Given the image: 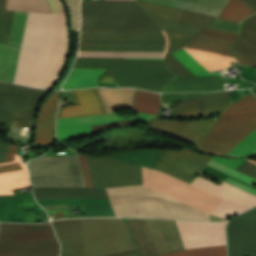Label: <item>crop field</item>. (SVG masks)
I'll use <instances>...</instances> for the list:
<instances>
[{
    "instance_id": "crop-field-1",
    "label": "crop field",
    "mask_w": 256,
    "mask_h": 256,
    "mask_svg": "<svg viewBox=\"0 0 256 256\" xmlns=\"http://www.w3.org/2000/svg\"><path fill=\"white\" fill-rule=\"evenodd\" d=\"M66 47L65 14L29 13L13 83L50 89L62 71Z\"/></svg>"
},
{
    "instance_id": "crop-field-2",
    "label": "crop field",
    "mask_w": 256,
    "mask_h": 256,
    "mask_svg": "<svg viewBox=\"0 0 256 256\" xmlns=\"http://www.w3.org/2000/svg\"><path fill=\"white\" fill-rule=\"evenodd\" d=\"M255 129L256 97L250 93L228 106L213 126L192 143L202 151L225 155ZM255 152L256 130L226 155L251 156Z\"/></svg>"
},
{
    "instance_id": "crop-field-3",
    "label": "crop field",
    "mask_w": 256,
    "mask_h": 256,
    "mask_svg": "<svg viewBox=\"0 0 256 256\" xmlns=\"http://www.w3.org/2000/svg\"><path fill=\"white\" fill-rule=\"evenodd\" d=\"M33 188L86 187L77 156H42L27 163ZM35 199L108 198L104 189H33Z\"/></svg>"
},
{
    "instance_id": "crop-field-4",
    "label": "crop field",
    "mask_w": 256,
    "mask_h": 256,
    "mask_svg": "<svg viewBox=\"0 0 256 256\" xmlns=\"http://www.w3.org/2000/svg\"><path fill=\"white\" fill-rule=\"evenodd\" d=\"M164 31L82 30L78 57L164 58Z\"/></svg>"
},
{
    "instance_id": "crop-field-5",
    "label": "crop field",
    "mask_w": 256,
    "mask_h": 256,
    "mask_svg": "<svg viewBox=\"0 0 256 256\" xmlns=\"http://www.w3.org/2000/svg\"><path fill=\"white\" fill-rule=\"evenodd\" d=\"M105 190L116 216L209 221L207 213L144 185Z\"/></svg>"
},
{
    "instance_id": "crop-field-6",
    "label": "crop field",
    "mask_w": 256,
    "mask_h": 256,
    "mask_svg": "<svg viewBox=\"0 0 256 256\" xmlns=\"http://www.w3.org/2000/svg\"><path fill=\"white\" fill-rule=\"evenodd\" d=\"M73 68L90 69H166L162 61H122L121 58H77ZM174 77L167 70H107L99 82H120V87H134L160 92Z\"/></svg>"
},
{
    "instance_id": "crop-field-7",
    "label": "crop field",
    "mask_w": 256,
    "mask_h": 256,
    "mask_svg": "<svg viewBox=\"0 0 256 256\" xmlns=\"http://www.w3.org/2000/svg\"><path fill=\"white\" fill-rule=\"evenodd\" d=\"M232 43V41L197 35L192 42L183 49L187 51L193 58H195L201 65H203L208 71H211L229 67L231 66L229 62L237 63L229 48ZM183 49L171 54L195 76L212 75ZM171 54H167L165 56V64L169 71L173 72L177 76H194Z\"/></svg>"
},
{
    "instance_id": "crop-field-8",
    "label": "crop field",
    "mask_w": 256,
    "mask_h": 256,
    "mask_svg": "<svg viewBox=\"0 0 256 256\" xmlns=\"http://www.w3.org/2000/svg\"><path fill=\"white\" fill-rule=\"evenodd\" d=\"M81 29L163 30L135 1H82Z\"/></svg>"
},
{
    "instance_id": "crop-field-9",
    "label": "crop field",
    "mask_w": 256,
    "mask_h": 256,
    "mask_svg": "<svg viewBox=\"0 0 256 256\" xmlns=\"http://www.w3.org/2000/svg\"><path fill=\"white\" fill-rule=\"evenodd\" d=\"M77 105L61 107L57 123L106 113L96 88L72 91ZM126 120L115 114H106L57 124V140L73 139L91 133L90 126Z\"/></svg>"
},
{
    "instance_id": "crop-field-10",
    "label": "crop field",
    "mask_w": 256,
    "mask_h": 256,
    "mask_svg": "<svg viewBox=\"0 0 256 256\" xmlns=\"http://www.w3.org/2000/svg\"><path fill=\"white\" fill-rule=\"evenodd\" d=\"M207 166L237 178L250 185L256 183V180L212 160L209 161ZM192 184L245 208L256 205V190L229 177H227L220 186L199 177H196ZM224 199H222L220 203L213 209L211 214L224 218L234 212L240 214L241 212L245 211V209Z\"/></svg>"
},
{
    "instance_id": "crop-field-11",
    "label": "crop field",
    "mask_w": 256,
    "mask_h": 256,
    "mask_svg": "<svg viewBox=\"0 0 256 256\" xmlns=\"http://www.w3.org/2000/svg\"><path fill=\"white\" fill-rule=\"evenodd\" d=\"M86 256H100L135 247L121 218L81 219Z\"/></svg>"
},
{
    "instance_id": "crop-field-12",
    "label": "crop field",
    "mask_w": 256,
    "mask_h": 256,
    "mask_svg": "<svg viewBox=\"0 0 256 256\" xmlns=\"http://www.w3.org/2000/svg\"><path fill=\"white\" fill-rule=\"evenodd\" d=\"M227 222V221H226ZM222 223L176 221L185 249L225 245ZM160 256H227L226 247L182 250Z\"/></svg>"
},
{
    "instance_id": "crop-field-13",
    "label": "crop field",
    "mask_w": 256,
    "mask_h": 256,
    "mask_svg": "<svg viewBox=\"0 0 256 256\" xmlns=\"http://www.w3.org/2000/svg\"><path fill=\"white\" fill-rule=\"evenodd\" d=\"M143 184L210 213L221 198L165 173L142 168Z\"/></svg>"
},
{
    "instance_id": "crop-field-14",
    "label": "crop field",
    "mask_w": 256,
    "mask_h": 256,
    "mask_svg": "<svg viewBox=\"0 0 256 256\" xmlns=\"http://www.w3.org/2000/svg\"><path fill=\"white\" fill-rule=\"evenodd\" d=\"M87 158L94 187L142 184L141 168L106 157Z\"/></svg>"
},
{
    "instance_id": "crop-field-15",
    "label": "crop field",
    "mask_w": 256,
    "mask_h": 256,
    "mask_svg": "<svg viewBox=\"0 0 256 256\" xmlns=\"http://www.w3.org/2000/svg\"><path fill=\"white\" fill-rule=\"evenodd\" d=\"M137 1V0H136ZM163 28L196 36L215 18L160 5L137 1Z\"/></svg>"
},
{
    "instance_id": "crop-field-16",
    "label": "crop field",
    "mask_w": 256,
    "mask_h": 256,
    "mask_svg": "<svg viewBox=\"0 0 256 256\" xmlns=\"http://www.w3.org/2000/svg\"><path fill=\"white\" fill-rule=\"evenodd\" d=\"M212 157L197 154L184 147L179 151H164L152 168L191 184Z\"/></svg>"
},
{
    "instance_id": "crop-field-17",
    "label": "crop field",
    "mask_w": 256,
    "mask_h": 256,
    "mask_svg": "<svg viewBox=\"0 0 256 256\" xmlns=\"http://www.w3.org/2000/svg\"><path fill=\"white\" fill-rule=\"evenodd\" d=\"M226 231L229 256H256V207L232 219Z\"/></svg>"
},
{
    "instance_id": "crop-field-18",
    "label": "crop field",
    "mask_w": 256,
    "mask_h": 256,
    "mask_svg": "<svg viewBox=\"0 0 256 256\" xmlns=\"http://www.w3.org/2000/svg\"><path fill=\"white\" fill-rule=\"evenodd\" d=\"M48 92L0 83V122L11 127V109L38 105Z\"/></svg>"
},
{
    "instance_id": "crop-field-19",
    "label": "crop field",
    "mask_w": 256,
    "mask_h": 256,
    "mask_svg": "<svg viewBox=\"0 0 256 256\" xmlns=\"http://www.w3.org/2000/svg\"><path fill=\"white\" fill-rule=\"evenodd\" d=\"M16 149L17 147L10 145L0 164V195L14 194L12 189L30 185L28 170Z\"/></svg>"
},
{
    "instance_id": "crop-field-20",
    "label": "crop field",
    "mask_w": 256,
    "mask_h": 256,
    "mask_svg": "<svg viewBox=\"0 0 256 256\" xmlns=\"http://www.w3.org/2000/svg\"><path fill=\"white\" fill-rule=\"evenodd\" d=\"M60 91L53 93L45 100L36 116L34 143L51 144L55 140V112Z\"/></svg>"
},
{
    "instance_id": "crop-field-21",
    "label": "crop field",
    "mask_w": 256,
    "mask_h": 256,
    "mask_svg": "<svg viewBox=\"0 0 256 256\" xmlns=\"http://www.w3.org/2000/svg\"><path fill=\"white\" fill-rule=\"evenodd\" d=\"M146 221L158 255L183 249L173 221Z\"/></svg>"
},
{
    "instance_id": "crop-field-22",
    "label": "crop field",
    "mask_w": 256,
    "mask_h": 256,
    "mask_svg": "<svg viewBox=\"0 0 256 256\" xmlns=\"http://www.w3.org/2000/svg\"><path fill=\"white\" fill-rule=\"evenodd\" d=\"M238 62L256 66V15L247 19L231 47Z\"/></svg>"
},
{
    "instance_id": "crop-field-23",
    "label": "crop field",
    "mask_w": 256,
    "mask_h": 256,
    "mask_svg": "<svg viewBox=\"0 0 256 256\" xmlns=\"http://www.w3.org/2000/svg\"><path fill=\"white\" fill-rule=\"evenodd\" d=\"M53 223L63 244L62 256H85L80 220Z\"/></svg>"
},
{
    "instance_id": "crop-field-24",
    "label": "crop field",
    "mask_w": 256,
    "mask_h": 256,
    "mask_svg": "<svg viewBox=\"0 0 256 256\" xmlns=\"http://www.w3.org/2000/svg\"><path fill=\"white\" fill-rule=\"evenodd\" d=\"M0 0V42L8 43L15 12L5 11ZM28 13L16 12L9 44L20 46Z\"/></svg>"
},
{
    "instance_id": "crop-field-25",
    "label": "crop field",
    "mask_w": 256,
    "mask_h": 256,
    "mask_svg": "<svg viewBox=\"0 0 256 256\" xmlns=\"http://www.w3.org/2000/svg\"><path fill=\"white\" fill-rule=\"evenodd\" d=\"M222 77L174 78L162 92L220 91L225 90Z\"/></svg>"
},
{
    "instance_id": "crop-field-26",
    "label": "crop field",
    "mask_w": 256,
    "mask_h": 256,
    "mask_svg": "<svg viewBox=\"0 0 256 256\" xmlns=\"http://www.w3.org/2000/svg\"><path fill=\"white\" fill-rule=\"evenodd\" d=\"M40 207L33 199L32 192L22 195L0 196V221L9 222L23 219L22 210Z\"/></svg>"
},
{
    "instance_id": "crop-field-27",
    "label": "crop field",
    "mask_w": 256,
    "mask_h": 256,
    "mask_svg": "<svg viewBox=\"0 0 256 256\" xmlns=\"http://www.w3.org/2000/svg\"><path fill=\"white\" fill-rule=\"evenodd\" d=\"M217 17L227 1L223 0H141Z\"/></svg>"
},
{
    "instance_id": "crop-field-28",
    "label": "crop field",
    "mask_w": 256,
    "mask_h": 256,
    "mask_svg": "<svg viewBox=\"0 0 256 256\" xmlns=\"http://www.w3.org/2000/svg\"><path fill=\"white\" fill-rule=\"evenodd\" d=\"M107 113L119 109H130L134 89H105L97 88Z\"/></svg>"
},
{
    "instance_id": "crop-field-29",
    "label": "crop field",
    "mask_w": 256,
    "mask_h": 256,
    "mask_svg": "<svg viewBox=\"0 0 256 256\" xmlns=\"http://www.w3.org/2000/svg\"><path fill=\"white\" fill-rule=\"evenodd\" d=\"M134 238L139 256L157 255L145 220L126 219Z\"/></svg>"
},
{
    "instance_id": "crop-field-30",
    "label": "crop field",
    "mask_w": 256,
    "mask_h": 256,
    "mask_svg": "<svg viewBox=\"0 0 256 256\" xmlns=\"http://www.w3.org/2000/svg\"><path fill=\"white\" fill-rule=\"evenodd\" d=\"M20 47L0 43V80L12 83Z\"/></svg>"
},
{
    "instance_id": "crop-field-31",
    "label": "crop field",
    "mask_w": 256,
    "mask_h": 256,
    "mask_svg": "<svg viewBox=\"0 0 256 256\" xmlns=\"http://www.w3.org/2000/svg\"><path fill=\"white\" fill-rule=\"evenodd\" d=\"M106 70L72 69L63 89L89 88L98 86L97 76Z\"/></svg>"
},
{
    "instance_id": "crop-field-32",
    "label": "crop field",
    "mask_w": 256,
    "mask_h": 256,
    "mask_svg": "<svg viewBox=\"0 0 256 256\" xmlns=\"http://www.w3.org/2000/svg\"><path fill=\"white\" fill-rule=\"evenodd\" d=\"M255 14L254 10L239 0H229L216 19L242 23L245 18Z\"/></svg>"
},
{
    "instance_id": "crop-field-33",
    "label": "crop field",
    "mask_w": 256,
    "mask_h": 256,
    "mask_svg": "<svg viewBox=\"0 0 256 256\" xmlns=\"http://www.w3.org/2000/svg\"><path fill=\"white\" fill-rule=\"evenodd\" d=\"M0 242L59 244L54 234L0 232Z\"/></svg>"
},
{
    "instance_id": "crop-field-34",
    "label": "crop field",
    "mask_w": 256,
    "mask_h": 256,
    "mask_svg": "<svg viewBox=\"0 0 256 256\" xmlns=\"http://www.w3.org/2000/svg\"><path fill=\"white\" fill-rule=\"evenodd\" d=\"M162 152L158 150H140L111 155L110 157L151 168Z\"/></svg>"
},
{
    "instance_id": "crop-field-35",
    "label": "crop field",
    "mask_w": 256,
    "mask_h": 256,
    "mask_svg": "<svg viewBox=\"0 0 256 256\" xmlns=\"http://www.w3.org/2000/svg\"><path fill=\"white\" fill-rule=\"evenodd\" d=\"M161 106L160 97L156 93L136 91L133 110L157 114Z\"/></svg>"
},
{
    "instance_id": "crop-field-36",
    "label": "crop field",
    "mask_w": 256,
    "mask_h": 256,
    "mask_svg": "<svg viewBox=\"0 0 256 256\" xmlns=\"http://www.w3.org/2000/svg\"><path fill=\"white\" fill-rule=\"evenodd\" d=\"M204 112L202 115H214L220 114L221 111L229 105L231 100L225 94V92H217L210 95L203 96Z\"/></svg>"
},
{
    "instance_id": "crop-field-37",
    "label": "crop field",
    "mask_w": 256,
    "mask_h": 256,
    "mask_svg": "<svg viewBox=\"0 0 256 256\" xmlns=\"http://www.w3.org/2000/svg\"><path fill=\"white\" fill-rule=\"evenodd\" d=\"M181 103L174 104L173 110L175 117L195 118L203 112L201 97L180 100Z\"/></svg>"
},
{
    "instance_id": "crop-field-38",
    "label": "crop field",
    "mask_w": 256,
    "mask_h": 256,
    "mask_svg": "<svg viewBox=\"0 0 256 256\" xmlns=\"http://www.w3.org/2000/svg\"><path fill=\"white\" fill-rule=\"evenodd\" d=\"M156 118L157 117H155L154 119L146 123L147 124L146 127L152 130H156V131H160V132H164L172 135L189 122V121H183V120H166V119H156Z\"/></svg>"
},
{
    "instance_id": "crop-field-39",
    "label": "crop field",
    "mask_w": 256,
    "mask_h": 256,
    "mask_svg": "<svg viewBox=\"0 0 256 256\" xmlns=\"http://www.w3.org/2000/svg\"><path fill=\"white\" fill-rule=\"evenodd\" d=\"M0 250L59 253V245L0 243Z\"/></svg>"
},
{
    "instance_id": "crop-field-40",
    "label": "crop field",
    "mask_w": 256,
    "mask_h": 256,
    "mask_svg": "<svg viewBox=\"0 0 256 256\" xmlns=\"http://www.w3.org/2000/svg\"><path fill=\"white\" fill-rule=\"evenodd\" d=\"M214 119H205L189 122L185 127H183L175 135L183 137L188 140H192L204 131L213 123Z\"/></svg>"
},
{
    "instance_id": "crop-field-41",
    "label": "crop field",
    "mask_w": 256,
    "mask_h": 256,
    "mask_svg": "<svg viewBox=\"0 0 256 256\" xmlns=\"http://www.w3.org/2000/svg\"><path fill=\"white\" fill-rule=\"evenodd\" d=\"M0 231L54 233L49 222L38 225L0 223Z\"/></svg>"
},
{
    "instance_id": "crop-field-42",
    "label": "crop field",
    "mask_w": 256,
    "mask_h": 256,
    "mask_svg": "<svg viewBox=\"0 0 256 256\" xmlns=\"http://www.w3.org/2000/svg\"><path fill=\"white\" fill-rule=\"evenodd\" d=\"M37 106L12 111V124L16 127H33V115ZM18 113L17 115L15 113Z\"/></svg>"
},
{
    "instance_id": "crop-field-43",
    "label": "crop field",
    "mask_w": 256,
    "mask_h": 256,
    "mask_svg": "<svg viewBox=\"0 0 256 256\" xmlns=\"http://www.w3.org/2000/svg\"><path fill=\"white\" fill-rule=\"evenodd\" d=\"M169 39V47L167 53L178 50L184 46H186L194 37L184 34H179L175 32L166 31Z\"/></svg>"
},
{
    "instance_id": "crop-field-44",
    "label": "crop field",
    "mask_w": 256,
    "mask_h": 256,
    "mask_svg": "<svg viewBox=\"0 0 256 256\" xmlns=\"http://www.w3.org/2000/svg\"><path fill=\"white\" fill-rule=\"evenodd\" d=\"M40 205L55 204H110L108 199L37 200Z\"/></svg>"
},
{
    "instance_id": "crop-field-45",
    "label": "crop field",
    "mask_w": 256,
    "mask_h": 256,
    "mask_svg": "<svg viewBox=\"0 0 256 256\" xmlns=\"http://www.w3.org/2000/svg\"><path fill=\"white\" fill-rule=\"evenodd\" d=\"M86 216H115L110 205H85Z\"/></svg>"
},
{
    "instance_id": "crop-field-46",
    "label": "crop field",
    "mask_w": 256,
    "mask_h": 256,
    "mask_svg": "<svg viewBox=\"0 0 256 256\" xmlns=\"http://www.w3.org/2000/svg\"><path fill=\"white\" fill-rule=\"evenodd\" d=\"M47 213L52 212L53 218H69L71 217L69 205L42 206Z\"/></svg>"
},
{
    "instance_id": "crop-field-47",
    "label": "crop field",
    "mask_w": 256,
    "mask_h": 256,
    "mask_svg": "<svg viewBox=\"0 0 256 256\" xmlns=\"http://www.w3.org/2000/svg\"><path fill=\"white\" fill-rule=\"evenodd\" d=\"M240 25L238 23H231V22H225V21H218L214 20L208 28H213L217 30L227 31L231 33H239Z\"/></svg>"
},
{
    "instance_id": "crop-field-48",
    "label": "crop field",
    "mask_w": 256,
    "mask_h": 256,
    "mask_svg": "<svg viewBox=\"0 0 256 256\" xmlns=\"http://www.w3.org/2000/svg\"><path fill=\"white\" fill-rule=\"evenodd\" d=\"M200 35H205V36H211V37H216V38H221V39H227V40H232L235 41L237 35L236 34H231L227 32H222V31H217L213 29H208L206 28L203 30Z\"/></svg>"
},
{
    "instance_id": "crop-field-49",
    "label": "crop field",
    "mask_w": 256,
    "mask_h": 256,
    "mask_svg": "<svg viewBox=\"0 0 256 256\" xmlns=\"http://www.w3.org/2000/svg\"><path fill=\"white\" fill-rule=\"evenodd\" d=\"M208 93H193V94H160L162 98V102H170L178 99H183V98H189V97H197L200 95H204Z\"/></svg>"
},
{
    "instance_id": "crop-field-50",
    "label": "crop field",
    "mask_w": 256,
    "mask_h": 256,
    "mask_svg": "<svg viewBox=\"0 0 256 256\" xmlns=\"http://www.w3.org/2000/svg\"><path fill=\"white\" fill-rule=\"evenodd\" d=\"M236 170L256 179V164L246 160L239 167H237Z\"/></svg>"
},
{
    "instance_id": "crop-field-51",
    "label": "crop field",
    "mask_w": 256,
    "mask_h": 256,
    "mask_svg": "<svg viewBox=\"0 0 256 256\" xmlns=\"http://www.w3.org/2000/svg\"><path fill=\"white\" fill-rule=\"evenodd\" d=\"M79 2L80 0H70L73 9L74 30H79L80 27Z\"/></svg>"
},
{
    "instance_id": "crop-field-52",
    "label": "crop field",
    "mask_w": 256,
    "mask_h": 256,
    "mask_svg": "<svg viewBox=\"0 0 256 256\" xmlns=\"http://www.w3.org/2000/svg\"><path fill=\"white\" fill-rule=\"evenodd\" d=\"M212 160L219 162L221 164H224L228 167H231L235 169L239 164H241L245 159H228V158H222V157H216L214 156Z\"/></svg>"
},
{
    "instance_id": "crop-field-53",
    "label": "crop field",
    "mask_w": 256,
    "mask_h": 256,
    "mask_svg": "<svg viewBox=\"0 0 256 256\" xmlns=\"http://www.w3.org/2000/svg\"><path fill=\"white\" fill-rule=\"evenodd\" d=\"M59 254L47 253H22V252H0V256H58Z\"/></svg>"
},
{
    "instance_id": "crop-field-54",
    "label": "crop field",
    "mask_w": 256,
    "mask_h": 256,
    "mask_svg": "<svg viewBox=\"0 0 256 256\" xmlns=\"http://www.w3.org/2000/svg\"><path fill=\"white\" fill-rule=\"evenodd\" d=\"M129 124H134V122L126 120V121H121V122H115V123H109V124H104V125H99V126H93L91 128H92V131H94V130L106 129V128H111V127L129 125Z\"/></svg>"
},
{
    "instance_id": "crop-field-55",
    "label": "crop field",
    "mask_w": 256,
    "mask_h": 256,
    "mask_svg": "<svg viewBox=\"0 0 256 256\" xmlns=\"http://www.w3.org/2000/svg\"><path fill=\"white\" fill-rule=\"evenodd\" d=\"M85 182L87 187H92L85 157L79 154ZM84 161V163H82Z\"/></svg>"
},
{
    "instance_id": "crop-field-56",
    "label": "crop field",
    "mask_w": 256,
    "mask_h": 256,
    "mask_svg": "<svg viewBox=\"0 0 256 256\" xmlns=\"http://www.w3.org/2000/svg\"><path fill=\"white\" fill-rule=\"evenodd\" d=\"M47 2L53 14L64 13L59 0H47Z\"/></svg>"
},
{
    "instance_id": "crop-field-57",
    "label": "crop field",
    "mask_w": 256,
    "mask_h": 256,
    "mask_svg": "<svg viewBox=\"0 0 256 256\" xmlns=\"http://www.w3.org/2000/svg\"><path fill=\"white\" fill-rule=\"evenodd\" d=\"M135 250H128V251H123V252H118V253H114V254H109V255H105V256H125V255H131V254H135Z\"/></svg>"
},
{
    "instance_id": "crop-field-58",
    "label": "crop field",
    "mask_w": 256,
    "mask_h": 256,
    "mask_svg": "<svg viewBox=\"0 0 256 256\" xmlns=\"http://www.w3.org/2000/svg\"><path fill=\"white\" fill-rule=\"evenodd\" d=\"M138 114H139L140 119L143 122H147L156 116V115H152V114H142V113H138Z\"/></svg>"
},
{
    "instance_id": "crop-field-59",
    "label": "crop field",
    "mask_w": 256,
    "mask_h": 256,
    "mask_svg": "<svg viewBox=\"0 0 256 256\" xmlns=\"http://www.w3.org/2000/svg\"><path fill=\"white\" fill-rule=\"evenodd\" d=\"M7 146L8 144L6 143H0V163L2 162Z\"/></svg>"
},
{
    "instance_id": "crop-field-60",
    "label": "crop field",
    "mask_w": 256,
    "mask_h": 256,
    "mask_svg": "<svg viewBox=\"0 0 256 256\" xmlns=\"http://www.w3.org/2000/svg\"><path fill=\"white\" fill-rule=\"evenodd\" d=\"M240 1H242L243 3L247 4L248 6L256 10V0H240Z\"/></svg>"
},
{
    "instance_id": "crop-field-61",
    "label": "crop field",
    "mask_w": 256,
    "mask_h": 256,
    "mask_svg": "<svg viewBox=\"0 0 256 256\" xmlns=\"http://www.w3.org/2000/svg\"><path fill=\"white\" fill-rule=\"evenodd\" d=\"M129 119L132 120V121H134V122H136V123H142V124H144V123L138 118V116L131 117V118H129ZM144 125H146V124H144Z\"/></svg>"
},
{
    "instance_id": "crop-field-62",
    "label": "crop field",
    "mask_w": 256,
    "mask_h": 256,
    "mask_svg": "<svg viewBox=\"0 0 256 256\" xmlns=\"http://www.w3.org/2000/svg\"><path fill=\"white\" fill-rule=\"evenodd\" d=\"M247 160H249V161H251L253 163H256V160H251V159H247Z\"/></svg>"
},
{
    "instance_id": "crop-field-63",
    "label": "crop field",
    "mask_w": 256,
    "mask_h": 256,
    "mask_svg": "<svg viewBox=\"0 0 256 256\" xmlns=\"http://www.w3.org/2000/svg\"><path fill=\"white\" fill-rule=\"evenodd\" d=\"M252 156L256 157V153H255V154H253Z\"/></svg>"
},
{
    "instance_id": "crop-field-64",
    "label": "crop field",
    "mask_w": 256,
    "mask_h": 256,
    "mask_svg": "<svg viewBox=\"0 0 256 256\" xmlns=\"http://www.w3.org/2000/svg\"><path fill=\"white\" fill-rule=\"evenodd\" d=\"M131 256H138L137 254H135V255H131Z\"/></svg>"
}]
</instances>
